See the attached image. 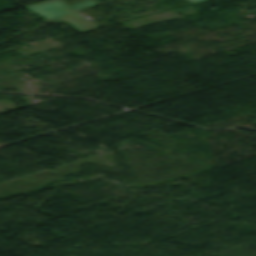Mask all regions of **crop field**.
<instances>
[{"label": "crop field", "instance_id": "crop-field-1", "mask_svg": "<svg viewBox=\"0 0 256 256\" xmlns=\"http://www.w3.org/2000/svg\"><path fill=\"white\" fill-rule=\"evenodd\" d=\"M95 3L96 2L94 0H86L69 6L62 0H50L34 5L25 6V8L44 18L53 21L67 22L79 30H84L95 27L96 24L75 10L90 6Z\"/></svg>", "mask_w": 256, "mask_h": 256}, {"label": "crop field", "instance_id": "crop-field-2", "mask_svg": "<svg viewBox=\"0 0 256 256\" xmlns=\"http://www.w3.org/2000/svg\"><path fill=\"white\" fill-rule=\"evenodd\" d=\"M189 2H195V1H199V0H188Z\"/></svg>", "mask_w": 256, "mask_h": 256}]
</instances>
